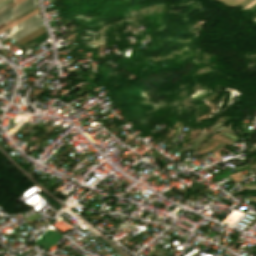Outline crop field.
<instances>
[{"mask_svg":"<svg viewBox=\"0 0 256 256\" xmlns=\"http://www.w3.org/2000/svg\"><path fill=\"white\" fill-rule=\"evenodd\" d=\"M202 131H203V129H202ZM202 131H201V132H202ZM205 131H206V130H205ZM201 132H200V134H201ZM203 132H204V131H203ZM204 133H205V132H204ZM204 133H203V134H204ZM207 133H208V131H206V133L204 134V136L202 135L203 137L199 134L202 138L198 135V136L201 138V140H200V139L198 138V136H197V138H198L200 141L196 138V139L199 141L198 144H197V143H196L197 140L195 139L196 142H195V140H194V142L197 144V145L195 146V148L193 147V146H194V145H193L194 142L191 144V146L193 145L192 147L194 148V150H196L197 146L199 145V143L202 141V139L205 137V135H206ZM195 143H194V144H195ZM191 146H190V147H191ZM192 147H191V149H192ZM189 149H190V148H189Z\"/></svg>","mask_w":256,"mask_h":256,"instance_id":"obj_1","label":"crop field"},{"mask_svg":"<svg viewBox=\"0 0 256 256\" xmlns=\"http://www.w3.org/2000/svg\"><path fill=\"white\" fill-rule=\"evenodd\" d=\"M223 145H224V144L220 143V144H219L218 146H216L214 149L209 150V151H206V152H204V153H202V154H206V153H209V152H213V151H215V150H218V149L221 148Z\"/></svg>","mask_w":256,"mask_h":256,"instance_id":"obj_2","label":"crop field"},{"mask_svg":"<svg viewBox=\"0 0 256 256\" xmlns=\"http://www.w3.org/2000/svg\"><path fill=\"white\" fill-rule=\"evenodd\" d=\"M220 142H218V141H215L208 149H212V148H214L217 144H219ZM208 149H206V150H208ZM206 150H204V151H206ZM204 151H202V152H204ZM201 153V152H200Z\"/></svg>","mask_w":256,"mask_h":256,"instance_id":"obj_3","label":"crop field"},{"mask_svg":"<svg viewBox=\"0 0 256 256\" xmlns=\"http://www.w3.org/2000/svg\"><path fill=\"white\" fill-rule=\"evenodd\" d=\"M224 132L229 133V134H231V135H234L233 131H231V130H229V129L224 130ZM234 136H235V135H234Z\"/></svg>","mask_w":256,"mask_h":256,"instance_id":"obj_4","label":"crop field"},{"mask_svg":"<svg viewBox=\"0 0 256 256\" xmlns=\"http://www.w3.org/2000/svg\"><path fill=\"white\" fill-rule=\"evenodd\" d=\"M180 130H181V128H179V130L177 131V133L175 134V136L173 137V139L171 140V142L174 141V139H175V138L177 137V135L179 134Z\"/></svg>","mask_w":256,"mask_h":256,"instance_id":"obj_5","label":"crop field"},{"mask_svg":"<svg viewBox=\"0 0 256 256\" xmlns=\"http://www.w3.org/2000/svg\"><path fill=\"white\" fill-rule=\"evenodd\" d=\"M251 1H253V0H249V1H247V2H245V3H243L242 5H247L248 3H250Z\"/></svg>","mask_w":256,"mask_h":256,"instance_id":"obj_6","label":"crop field"},{"mask_svg":"<svg viewBox=\"0 0 256 256\" xmlns=\"http://www.w3.org/2000/svg\"><path fill=\"white\" fill-rule=\"evenodd\" d=\"M221 124H222V122H221V123H219V124H217V125H215V126H213V127H211V129H213V128H215V127H217V126L221 125Z\"/></svg>","mask_w":256,"mask_h":256,"instance_id":"obj_7","label":"crop field"},{"mask_svg":"<svg viewBox=\"0 0 256 256\" xmlns=\"http://www.w3.org/2000/svg\"><path fill=\"white\" fill-rule=\"evenodd\" d=\"M245 189H256V188H243V189H241V190H245Z\"/></svg>","mask_w":256,"mask_h":256,"instance_id":"obj_8","label":"crop field"},{"mask_svg":"<svg viewBox=\"0 0 256 256\" xmlns=\"http://www.w3.org/2000/svg\"><path fill=\"white\" fill-rule=\"evenodd\" d=\"M254 21H256V20H254Z\"/></svg>","mask_w":256,"mask_h":256,"instance_id":"obj_9","label":"crop field"}]
</instances>
